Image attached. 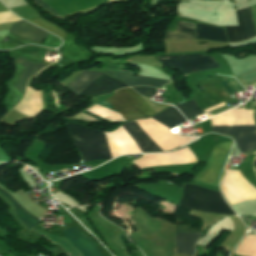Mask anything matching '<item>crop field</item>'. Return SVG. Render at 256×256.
Returning a JSON list of instances; mask_svg holds the SVG:
<instances>
[{
  "label": "crop field",
  "instance_id": "crop-field-1",
  "mask_svg": "<svg viewBox=\"0 0 256 256\" xmlns=\"http://www.w3.org/2000/svg\"><path fill=\"white\" fill-rule=\"evenodd\" d=\"M152 119L169 129L186 122L179 111L172 106L152 117ZM66 125L69 129L72 141L83 155L84 161L100 159L111 160L104 132L95 131L79 125ZM122 125L142 152L162 151L135 121L125 122L122 123Z\"/></svg>",
  "mask_w": 256,
  "mask_h": 256
},
{
  "label": "crop field",
  "instance_id": "crop-field-2",
  "mask_svg": "<svg viewBox=\"0 0 256 256\" xmlns=\"http://www.w3.org/2000/svg\"><path fill=\"white\" fill-rule=\"evenodd\" d=\"M184 194L179 206L219 214H234L223 202L218 191L201 188L197 185L185 184Z\"/></svg>",
  "mask_w": 256,
  "mask_h": 256
},
{
  "label": "crop field",
  "instance_id": "crop-field-3",
  "mask_svg": "<svg viewBox=\"0 0 256 256\" xmlns=\"http://www.w3.org/2000/svg\"><path fill=\"white\" fill-rule=\"evenodd\" d=\"M66 237L82 252L83 256H102L94 242L86 239L77 229L71 228L63 230ZM33 232L43 236L48 241L60 245L69 256H82L80 251L66 238L50 235L34 229Z\"/></svg>",
  "mask_w": 256,
  "mask_h": 256
},
{
  "label": "crop field",
  "instance_id": "crop-field-4",
  "mask_svg": "<svg viewBox=\"0 0 256 256\" xmlns=\"http://www.w3.org/2000/svg\"><path fill=\"white\" fill-rule=\"evenodd\" d=\"M126 96L138 107V109L147 117L155 115V113L145 104L139 94L134 92L130 88L122 89ZM122 90H117L115 93L121 98V100L133 111L138 118H146L136 106L125 96ZM114 95L109 99L113 108L117 109L118 112L125 118L126 121L137 119L132 111L120 100L117 95ZM108 99L100 102L99 104L110 108L111 104Z\"/></svg>",
  "mask_w": 256,
  "mask_h": 256
},
{
  "label": "crop field",
  "instance_id": "crop-field-5",
  "mask_svg": "<svg viewBox=\"0 0 256 256\" xmlns=\"http://www.w3.org/2000/svg\"><path fill=\"white\" fill-rule=\"evenodd\" d=\"M107 77L109 76L101 72H90L86 70L74 80H72L67 86L70 87L71 90H77L89 85L96 84L106 79ZM123 87L128 86L122 81L109 77L108 79L97 85L86 87L75 92L79 95H98L102 93L112 92L116 89Z\"/></svg>",
  "mask_w": 256,
  "mask_h": 256
},
{
  "label": "crop field",
  "instance_id": "crop-field-6",
  "mask_svg": "<svg viewBox=\"0 0 256 256\" xmlns=\"http://www.w3.org/2000/svg\"><path fill=\"white\" fill-rule=\"evenodd\" d=\"M221 188L231 205L256 199V189L237 170H226Z\"/></svg>",
  "mask_w": 256,
  "mask_h": 256
},
{
  "label": "crop field",
  "instance_id": "crop-field-7",
  "mask_svg": "<svg viewBox=\"0 0 256 256\" xmlns=\"http://www.w3.org/2000/svg\"><path fill=\"white\" fill-rule=\"evenodd\" d=\"M161 55H165V54L158 53L155 56H161ZM157 58L159 62L163 64L171 65L181 70L185 74L207 70L215 67H220L214 59L204 54H190V55H183V56H161Z\"/></svg>",
  "mask_w": 256,
  "mask_h": 256
},
{
  "label": "crop field",
  "instance_id": "crop-field-8",
  "mask_svg": "<svg viewBox=\"0 0 256 256\" xmlns=\"http://www.w3.org/2000/svg\"><path fill=\"white\" fill-rule=\"evenodd\" d=\"M232 144L233 142H226L214 146L207 167L193 181L217 186Z\"/></svg>",
  "mask_w": 256,
  "mask_h": 256
},
{
  "label": "crop field",
  "instance_id": "crop-field-9",
  "mask_svg": "<svg viewBox=\"0 0 256 256\" xmlns=\"http://www.w3.org/2000/svg\"><path fill=\"white\" fill-rule=\"evenodd\" d=\"M212 129L234 135L242 153L256 148V126H212Z\"/></svg>",
  "mask_w": 256,
  "mask_h": 256
},
{
  "label": "crop field",
  "instance_id": "crop-field-10",
  "mask_svg": "<svg viewBox=\"0 0 256 256\" xmlns=\"http://www.w3.org/2000/svg\"><path fill=\"white\" fill-rule=\"evenodd\" d=\"M236 12H237L239 26L226 27L229 41L230 42H237V41L246 40V39H248V37H249V39L253 38L254 35H253V30H252V25H251V20H250V15H249L248 8L242 10L244 20H245V24H246L248 37H247L245 25H244L242 12H241V10L236 11Z\"/></svg>",
  "mask_w": 256,
  "mask_h": 256
},
{
  "label": "crop field",
  "instance_id": "crop-field-11",
  "mask_svg": "<svg viewBox=\"0 0 256 256\" xmlns=\"http://www.w3.org/2000/svg\"><path fill=\"white\" fill-rule=\"evenodd\" d=\"M105 73H107L108 75L114 78L124 81L130 86L148 85V86H155L158 88L161 85L170 82L167 80L152 79V78H147L142 76L135 77L134 75H132L130 72H127V71L110 70Z\"/></svg>",
  "mask_w": 256,
  "mask_h": 256
},
{
  "label": "crop field",
  "instance_id": "crop-field-12",
  "mask_svg": "<svg viewBox=\"0 0 256 256\" xmlns=\"http://www.w3.org/2000/svg\"><path fill=\"white\" fill-rule=\"evenodd\" d=\"M10 33L34 41L38 44L41 43V41L48 35V33L24 22H16L12 29L10 30Z\"/></svg>",
  "mask_w": 256,
  "mask_h": 256
},
{
  "label": "crop field",
  "instance_id": "crop-field-13",
  "mask_svg": "<svg viewBox=\"0 0 256 256\" xmlns=\"http://www.w3.org/2000/svg\"><path fill=\"white\" fill-rule=\"evenodd\" d=\"M15 60L17 61V63H19L20 65H22L26 69L23 72L21 78L19 79V81L16 85L18 90L23 93L27 80L33 74L37 73L38 71H40L42 68L46 67L47 65H45L43 63L31 62V61H29V60H27L23 57H18Z\"/></svg>",
  "mask_w": 256,
  "mask_h": 256
},
{
  "label": "crop field",
  "instance_id": "crop-field-14",
  "mask_svg": "<svg viewBox=\"0 0 256 256\" xmlns=\"http://www.w3.org/2000/svg\"><path fill=\"white\" fill-rule=\"evenodd\" d=\"M177 234V252L190 255L194 254L195 241L202 233H178Z\"/></svg>",
  "mask_w": 256,
  "mask_h": 256
},
{
  "label": "crop field",
  "instance_id": "crop-field-15",
  "mask_svg": "<svg viewBox=\"0 0 256 256\" xmlns=\"http://www.w3.org/2000/svg\"><path fill=\"white\" fill-rule=\"evenodd\" d=\"M196 37L197 39H209L228 42L224 29L199 24H197Z\"/></svg>",
  "mask_w": 256,
  "mask_h": 256
},
{
  "label": "crop field",
  "instance_id": "crop-field-16",
  "mask_svg": "<svg viewBox=\"0 0 256 256\" xmlns=\"http://www.w3.org/2000/svg\"><path fill=\"white\" fill-rule=\"evenodd\" d=\"M179 23V22H178ZM195 24L180 22L176 31H194ZM172 38H195L194 32H167L166 39Z\"/></svg>",
  "mask_w": 256,
  "mask_h": 256
},
{
  "label": "crop field",
  "instance_id": "crop-field-17",
  "mask_svg": "<svg viewBox=\"0 0 256 256\" xmlns=\"http://www.w3.org/2000/svg\"><path fill=\"white\" fill-rule=\"evenodd\" d=\"M0 192L4 194L8 199H10L15 205L18 216L22 219V221L30 228L37 225L39 220L33 217L30 213L26 212L11 196H9L6 192L0 189Z\"/></svg>",
  "mask_w": 256,
  "mask_h": 256
},
{
  "label": "crop field",
  "instance_id": "crop-field-18",
  "mask_svg": "<svg viewBox=\"0 0 256 256\" xmlns=\"http://www.w3.org/2000/svg\"><path fill=\"white\" fill-rule=\"evenodd\" d=\"M59 37L62 38V40L64 41L65 36H66V32L59 29L56 25L52 24V23H48L47 21H45L44 19L40 18H36V19H31V20H27Z\"/></svg>",
  "mask_w": 256,
  "mask_h": 256
},
{
  "label": "crop field",
  "instance_id": "crop-field-19",
  "mask_svg": "<svg viewBox=\"0 0 256 256\" xmlns=\"http://www.w3.org/2000/svg\"><path fill=\"white\" fill-rule=\"evenodd\" d=\"M176 107L181 111L187 120L202 114L194 99H191L190 101Z\"/></svg>",
  "mask_w": 256,
  "mask_h": 256
},
{
  "label": "crop field",
  "instance_id": "crop-field-20",
  "mask_svg": "<svg viewBox=\"0 0 256 256\" xmlns=\"http://www.w3.org/2000/svg\"><path fill=\"white\" fill-rule=\"evenodd\" d=\"M222 85L224 86V88L226 89V91L229 93V94H233L234 91H245L239 84V82L236 81L235 78H228L226 79L225 81L221 82Z\"/></svg>",
  "mask_w": 256,
  "mask_h": 256
},
{
  "label": "crop field",
  "instance_id": "crop-field-21",
  "mask_svg": "<svg viewBox=\"0 0 256 256\" xmlns=\"http://www.w3.org/2000/svg\"><path fill=\"white\" fill-rule=\"evenodd\" d=\"M133 89H135L139 93H141V94H143L145 96H149V97H151L152 94H155L157 92L156 89L148 87V86L135 87Z\"/></svg>",
  "mask_w": 256,
  "mask_h": 256
},
{
  "label": "crop field",
  "instance_id": "crop-field-22",
  "mask_svg": "<svg viewBox=\"0 0 256 256\" xmlns=\"http://www.w3.org/2000/svg\"><path fill=\"white\" fill-rule=\"evenodd\" d=\"M41 7H43L45 10H47L48 12L61 17L59 14H57L52 8H50L46 3H44L42 0H35Z\"/></svg>",
  "mask_w": 256,
  "mask_h": 256
},
{
  "label": "crop field",
  "instance_id": "crop-field-23",
  "mask_svg": "<svg viewBox=\"0 0 256 256\" xmlns=\"http://www.w3.org/2000/svg\"><path fill=\"white\" fill-rule=\"evenodd\" d=\"M224 105H227V104H226V102L221 103V104L216 105V106H213V107H211V108H208V109L204 110V112H205V113H207V112H209V111H211V110H213V109H216V108L222 107V106H224Z\"/></svg>",
  "mask_w": 256,
  "mask_h": 256
},
{
  "label": "crop field",
  "instance_id": "crop-field-24",
  "mask_svg": "<svg viewBox=\"0 0 256 256\" xmlns=\"http://www.w3.org/2000/svg\"><path fill=\"white\" fill-rule=\"evenodd\" d=\"M3 6L1 3H0V7Z\"/></svg>",
  "mask_w": 256,
  "mask_h": 256
},
{
  "label": "crop field",
  "instance_id": "crop-field-25",
  "mask_svg": "<svg viewBox=\"0 0 256 256\" xmlns=\"http://www.w3.org/2000/svg\"><path fill=\"white\" fill-rule=\"evenodd\" d=\"M109 1H113V0H109Z\"/></svg>",
  "mask_w": 256,
  "mask_h": 256
}]
</instances>
